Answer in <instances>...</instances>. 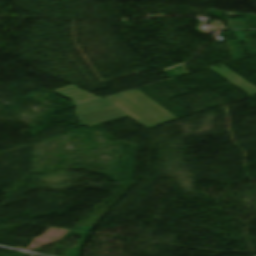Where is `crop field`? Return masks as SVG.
I'll return each mask as SVG.
<instances>
[{
    "label": "crop field",
    "mask_w": 256,
    "mask_h": 256,
    "mask_svg": "<svg viewBox=\"0 0 256 256\" xmlns=\"http://www.w3.org/2000/svg\"><path fill=\"white\" fill-rule=\"evenodd\" d=\"M106 100L146 128L176 119L137 90Z\"/></svg>",
    "instance_id": "8a807250"
},
{
    "label": "crop field",
    "mask_w": 256,
    "mask_h": 256,
    "mask_svg": "<svg viewBox=\"0 0 256 256\" xmlns=\"http://www.w3.org/2000/svg\"><path fill=\"white\" fill-rule=\"evenodd\" d=\"M111 104V103H110ZM77 105V104H76ZM115 107V106H114ZM122 118V117H121ZM117 119H119V118H117ZM117 119H113V120H109V121H106V122H102V123H98V124H94V125H99V124H103V123H107V122H111V121H114V120H117ZM90 126H92V125H90Z\"/></svg>",
    "instance_id": "ac0d7876"
}]
</instances>
